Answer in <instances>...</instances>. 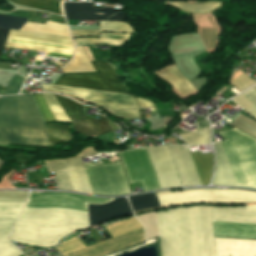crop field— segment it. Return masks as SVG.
<instances>
[{
    "label": "crop field",
    "mask_w": 256,
    "mask_h": 256,
    "mask_svg": "<svg viewBox=\"0 0 256 256\" xmlns=\"http://www.w3.org/2000/svg\"><path fill=\"white\" fill-rule=\"evenodd\" d=\"M112 199L114 198L31 192L25 208L72 209L87 212V204L103 205ZM88 227V216L85 212L25 209L10 234V241L51 247L71 231Z\"/></svg>",
    "instance_id": "1"
},
{
    "label": "crop field",
    "mask_w": 256,
    "mask_h": 256,
    "mask_svg": "<svg viewBox=\"0 0 256 256\" xmlns=\"http://www.w3.org/2000/svg\"><path fill=\"white\" fill-rule=\"evenodd\" d=\"M51 145L72 140L66 125H46ZM50 147L45 123L33 96H7L0 103V145Z\"/></svg>",
    "instance_id": "2"
},
{
    "label": "crop field",
    "mask_w": 256,
    "mask_h": 256,
    "mask_svg": "<svg viewBox=\"0 0 256 256\" xmlns=\"http://www.w3.org/2000/svg\"><path fill=\"white\" fill-rule=\"evenodd\" d=\"M91 64L96 72L62 74L54 84L125 93V89L116 82L115 75L108 65L102 61H92ZM48 87L61 86L43 85V90L57 91L81 97L87 101L98 103L109 111L123 108H138L136 100L126 94L78 88H71L77 90H61Z\"/></svg>",
    "instance_id": "3"
},
{
    "label": "crop field",
    "mask_w": 256,
    "mask_h": 256,
    "mask_svg": "<svg viewBox=\"0 0 256 256\" xmlns=\"http://www.w3.org/2000/svg\"><path fill=\"white\" fill-rule=\"evenodd\" d=\"M104 228L113 238L86 247L74 236L64 240L56 248L63 256H101L145 241L143 227L135 217L104 226Z\"/></svg>",
    "instance_id": "4"
},
{
    "label": "crop field",
    "mask_w": 256,
    "mask_h": 256,
    "mask_svg": "<svg viewBox=\"0 0 256 256\" xmlns=\"http://www.w3.org/2000/svg\"><path fill=\"white\" fill-rule=\"evenodd\" d=\"M203 256H215L210 207H198ZM197 207L177 209L182 256H202Z\"/></svg>",
    "instance_id": "5"
},
{
    "label": "crop field",
    "mask_w": 256,
    "mask_h": 256,
    "mask_svg": "<svg viewBox=\"0 0 256 256\" xmlns=\"http://www.w3.org/2000/svg\"><path fill=\"white\" fill-rule=\"evenodd\" d=\"M218 133L237 185L256 189V139L234 128Z\"/></svg>",
    "instance_id": "6"
},
{
    "label": "crop field",
    "mask_w": 256,
    "mask_h": 256,
    "mask_svg": "<svg viewBox=\"0 0 256 256\" xmlns=\"http://www.w3.org/2000/svg\"><path fill=\"white\" fill-rule=\"evenodd\" d=\"M212 207L213 221L256 224V213H246L245 206ZM213 222L217 237L256 239V225Z\"/></svg>",
    "instance_id": "7"
},
{
    "label": "crop field",
    "mask_w": 256,
    "mask_h": 256,
    "mask_svg": "<svg viewBox=\"0 0 256 256\" xmlns=\"http://www.w3.org/2000/svg\"><path fill=\"white\" fill-rule=\"evenodd\" d=\"M160 205L190 201H256V192L239 189H193L156 193ZM248 212H256V205H247Z\"/></svg>",
    "instance_id": "8"
},
{
    "label": "crop field",
    "mask_w": 256,
    "mask_h": 256,
    "mask_svg": "<svg viewBox=\"0 0 256 256\" xmlns=\"http://www.w3.org/2000/svg\"><path fill=\"white\" fill-rule=\"evenodd\" d=\"M27 192L2 191L0 203H25ZM25 204H0V256L23 255L8 240V233L20 215Z\"/></svg>",
    "instance_id": "9"
},
{
    "label": "crop field",
    "mask_w": 256,
    "mask_h": 256,
    "mask_svg": "<svg viewBox=\"0 0 256 256\" xmlns=\"http://www.w3.org/2000/svg\"><path fill=\"white\" fill-rule=\"evenodd\" d=\"M85 171L94 194H131L120 162L87 167Z\"/></svg>",
    "instance_id": "10"
},
{
    "label": "crop field",
    "mask_w": 256,
    "mask_h": 256,
    "mask_svg": "<svg viewBox=\"0 0 256 256\" xmlns=\"http://www.w3.org/2000/svg\"><path fill=\"white\" fill-rule=\"evenodd\" d=\"M118 154L130 183L141 181L145 192L160 189L145 148L118 152Z\"/></svg>",
    "instance_id": "11"
},
{
    "label": "crop field",
    "mask_w": 256,
    "mask_h": 256,
    "mask_svg": "<svg viewBox=\"0 0 256 256\" xmlns=\"http://www.w3.org/2000/svg\"><path fill=\"white\" fill-rule=\"evenodd\" d=\"M54 97L69 118L75 131L92 137L112 131L106 118L102 117L98 120L87 118L81 111V105L59 96Z\"/></svg>",
    "instance_id": "12"
},
{
    "label": "crop field",
    "mask_w": 256,
    "mask_h": 256,
    "mask_svg": "<svg viewBox=\"0 0 256 256\" xmlns=\"http://www.w3.org/2000/svg\"><path fill=\"white\" fill-rule=\"evenodd\" d=\"M94 153L97 152L94 151L93 146H89L84 148L76 157L45 160L44 164L48 172L67 169L74 190L93 194L80 158Z\"/></svg>",
    "instance_id": "13"
},
{
    "label": "crop field",
    "mask_w": 256,
    "mask_h": 256,
    "mask_svg": "<svg viewBox=\"0 0 256 256\" xmlns=\"http://www.w3.org/2000/svg\"><path fill=\"white\" fill-rule=\"evenodd\" d=\"M9 39L51 44V45H59V46H67V47H71V50L43 47V46H36V45H28V44H20V43H12V42H8ZM5 47L33 50V51H42V52L68 54V55H72V51H73V45L71 42V38L30 33V32H22V31H12V30L9 33Z\"/></svg>",
    "instance_id": "14"
},
{
    "label": "crop field",
    "mask_w": 256,
    "mask_h": 256,
    "mask_svg": "<svg viewBox=\"0 0 256 256\" xmlns=\"http://www.w3.org/2000/svg\"><path fill=\"white\" fill-rule=\"evenodd\" d=\"M162 256H181L176 208L156 212Z\"/></svg>",
    "instance_id": "15"
},
{
    "label": "crop field",
    "mask_w": 256,
    "mask_h": 256,
    "mask_svg": "<svg viewBox=\"0 0 256 256\" xmlns=\"http://www.w3.org/2000/svg\"><path fill=\"white\" fill-rule=\"evenodd\" d=\"M160 188L181 187L166 146L146 148Z\"/></svg>",
    "instance_id": "16"
},
{
    "label": "crop field",
    "mask_w": 256,
    "mask_h": 256,
    "mask_svg": "<svg viewBox=\"0 0 256 256\" xmlns=\"http://www.w3.org/2000/svg\"><path fill=\"white\" fill-rule=\"evenodd\" d=\"M181 186L201 185L189 149L182 146H167Z\"/></svg>",
    "instance_id": "17"
},
{
    "label": "crop field",
    "mask_w": 256,
    "mask_h": 256,
    "mask_svg": "<svg viewBox=\"0 0 256 256\" xmlns=\"http://www.w3.org/2000/svg\"><path fill=\"white\" fill-rule=\"evenodd\" d=\"M90 226L132 215L126 198L115 199L103 206L88 205Z\"/></svg>",
    "instance_id": "18"
},
{
    "label": "crop field",
    "mask_w": 256,
    "mask_h": 256,
    "mask_svg": "<svg viewBox=\"0 0 256 256\" xmlns=\"http://www.w3.org/2000/svg\"><path fill=\"white\" fill-rule=\"evenodd\" d=\"M120 9L108 7H91V3H64L67 19L102 20Z\"/></svg>",
    "instance_id": "19"
},
{
    "label": "crop field",
    "mask_w": 256,
    "mask_h": 256,
    "mask_svg": "<svg viewBox=\"0 0 256 256\" xmlns=\"http://www.w3.org/2000/svg\"><path fill=\"white\" fill-rule=\"evenodd\" d=\"M216 256H256V241L215 238Z\"/></svg>",
    "instance_id": "20"
},
{
    "label": "crop field",
    "mask_w": 256,
    "mask_h": 256,
    "mask_svg": "<svg viewBox=\"0 0 256 256\" xmlns=\"http://www.w3.org/2000/svg\"><path fill=\"white\" fill-rule=\"evenodd\" d=\"M214 147L216 152V168L212 184L220 186H237L221 143L215 144Z\"/></svg>",
    "instance_id": "21"
},
{
    "label": "crop field",
    "mask_w": 256,
    "mask_h": 256,
    "mask_svg": "<svg viewBox=\"0 0 256 256\" xmlns=\"http://www.w3.org/2000/svg\"><path fill=\"white\" fill-rule=\"evenodd\" d=\"M156 73L169 81L181 96L196 90L192 84L179 72L176 65Z\"/></svg>",
    "instance_id": "22"
},
{
    "label": "crop field",
    "mask_w": 256,
    "mask_h": 256,
    "mask_svg": "<svg viewBox=\"0 0 256 256\" xmlns=\"http://www.w3.org/2000/svg\"><path fill=\"white\" fill-rule=\"evenodd\" d=\"M203 185H208L213 168V154L201 155L200 152L191 154Z\"/></svg>",
    "instance_id": "23"
},
{
    "label": "crop field",
    "mask_w": 256,
    "mask_h": 256,
    "mask_svg": "<svg viewBox=\"0 0 256 256\" xmlns=\"http://www.w3.org/2000/svg\"><path fill=\"white\" fill-rule=\"evenodd\" d=\"M20 30L71 37L65 25L50 21L45 25L27 22Z\"/></svg>",
    "instance_id": "24"
},
{
    "label": "crop field",
    "mask_w": 256,
    "mask_h": 256,
    "mask_svg": "<svg viewBox=\"0 0 256 256\" xmlns=\"http://www.w3.org/2000/svg\"><path fill=\"white\" fill-rule=\"evenodd\" d=\"M14 4L63 15L61 2L54 0H10Z\"/></svg>",
    "instance_id": "25"
},
{
    "label": "crop field",
    "mask_w": 256,
    "mask_h": 256,
    "mask_svg": "<svg viewBox=\"0 0 256 256\" xmlns=\"http://www.w3.org/2000/svg\"><path fill=\"white\" fill-rule=\"evenodd\" d=\"M94 71L88 61L82 46L76 47V55L74 59L63 68V73L89 72Z\"/></svg>",
    "instance_id": "26"
},
{
    "label": "crop field",
    "mask_w": 256,
    "mask_h": 256,
    "mask_svg": "<svg viewBox=\"0 0 256 256\" xmlns=\"http://www.w3.org/2000/svg\"><path fill=\"white\" fill-rule=\"evenodd\" d=\"M129 34H115V33H100V39L92 38H76L74 39L76 45L84 43H108L119 45L128 38Z\"/></svg>",
    "instance_id": "27"
},
{
    "label": "crop field",
    "mask_w": 256,
    "mask_h": 256,
    "mask_svg": "<svg viewBox=\"0 0 256 256\" xmlns=\"http://www.w3.org/2000/svg\"><path fill=\"white\" fill-rule=\"evenodd\" d=\"M129 202L134 211L159 206L156 196L153 193L130 197Z\"/></svg>",
    "instance_id": "28"
},
{
    "label": "crop field",
    "mask_w": 256,
    "mask_h": 256,
    "mask_svg": "<svg viewBox=\"0 0 256 256\" xmlns=\"http://www.w3.org/2000/svg\"><path fill=\"white\" fill-rule=\"evenodd\" d=\"M181 138L189 145H200L210 143L209 140V128H203L196 130L195 132L180 134Z\"/></svg>",
    "instance_id": "29"
},
{
    "label": "crop field",
    "mask_w": 256,
    "mask_h": 256,
    "mask_svg": "<svg viewBox=\"0 0 256 256\" xmlns=\"http://www.w3.org/2000/svg\"><path fill=\"white\" fill-rule=\"evenodd\" d=\"M230 125L256 138V122L241 114Z\"/></svg>",
    "instance_id": "30"
},
{
    "label": "crop field",
    "mask_w": 256,
    "mask_h": 256,
    "mask_svg": "<svg viewBox=\"0 0 256 256\" xmlns=\"http://www.w3.org/2000/svg\"><path fill=\"white\" fill-rule=\"evenodd\" d=\"M137 218L145 227L147 240L158 236L155 212L138 215Z\"/></svg>",
    "instance_id": "31"
},
{
    "label": "crop field",
    "mask_w": 256,
    "mask_h": 256,
    "mask_svg": "<svg viewBox=\"0 0 256 256\" xmlns=\"http://www.w3.org/2000/svg\"><path fill=\"white\" fill-rule=\"evenodd\" d=\"M171 4L188 11L202 13V12H209L213 10L214 8L218 7L220 3L206 2L201 4H188V3H171Z\"/></svg>",
    "instance_id": "32"
},
{
    "label": "crop field",
    "mask_w": 256,
    "mask_h": 256,
    "mask_svg": "<svg viewBox=\"0 0 256 256\" xmlns=\"http://www.w3.org/2000/svg\"><path fill=\"white\" fill-rule=\"evenodd\" d=\"M198 28L206 47L207 48L215 47L219 27L207 26V27H198Z\"/></svg>",
    "instance_id": "33"
},
{
    "label": "crop field",
    "mask_w": 256,
    "mask_h": 256,
    "mask_svg": "<svg viewBox=\"0 0 256 256\" xmlns=\"http://www.w3.org/2000/svg\"><path fill=\"white\" fill-rule=\"evenodd\" d=\"M26 21L28 19L0 15V28L19 30Z\"/></svg>",
    "instance_id": "34"
},
{
    "label": "crop field",
    "mask_w": 256,
    "mask_h": 256,
    "mask_svg": "<svg viewBox=\"0 0 256 256\" xmlns=\"http://www.w3.org/2000/svg\"><path fill=\"white\" fill-rule=\"evenodd\" d=\"M100 31L134 32L132 28L124 22L109 21H101Z\"/></svg>",
    "instance_id": "35"
},
{
    "label": "crop field",
    "mask_w": 256,
    "mask_h": 256,
    "mask_svg": "<svg viewBox=\"0 0 256 256\" xmlns=\"http://www.w3.org/2000/svg\"><path fill=\"white\" fill-rule=\"evenodd\" d=\"M43 96L48 103L52 113L54 114L57 122H68L67 118L65 117L57 102L52 97L51 93L43 94Z\"/></svg>",
    "instance_id": "36"
},
{
    "label": "crop field",
    "mask_w": 256,
    "mask_h": 256,
    "mask_svg": "<svg viewBox=\"0 0 256 256\" xmlns=\"http://www.w3.org/2000/svg\"><path fill=\"white\" fill-rule=\"evenodd\" d=\"M34 97H35V100H36V102H37V104H38L46 122L48 123V122L55 121V119H54L49 107L47 106L42 94H36V95H34Z\"/></svg>",
    "instance_id": "37"
},
{
    "label": "crop field",
    "mask_w": 256,
    "mask_h": 256,
    "mask_svg": "<svg viewBox=\"0 0 256 256\" xmlns=\"http://www.w3.org/2000/svg\"><path fill=\"white\" fill-rule=\"evenodd\" d=\"M231 84L235 86L239 91H243L246 88L256 84V82L247 75H242L237 79L231 81Z\"/></svg>",
    "instance_id": "38"
},
{
    "label": "crop field",
    "mask_w": 256,
    "mask_h": 256,
    "mask_svg": "<svg viewBox=\"0 0 256 256\" xmlns=\"http://www.w3.org/2000/svg\"><path fill=\"white\" fill-rule=\"evenodd\" d=\"M232 100L256 118V107L243 94Z\"/></svg>",
    "instance_id": "39"
},
{
    "label": "crop field",
    "mask_w": 256,
    "mask_h": 256,
    "mask_svg": "<svg viewBox=\"0 0 256 256\" xmlns=\"http://www.w3.org/2000/svg\"><path fill=\"white\" fill-rule=\"evenodd\" d=\"M24 78L15 75L14 77H12V79L10 80L7 88L5 89L3 95H8V94H17L22 82H23Z\"/></svg>",
    "instance_id": "40"
},
{
    "label": "crop field",
    "mask_w": 256,
    "mask_h": 256,
    "mask_svg": "<svg viewBox=\"0 0 256 256\" xmlns=\"http://www.w3.org/2000/svg\"><path fill=\"white\" fill-rule=\"evenodd\" d=\"M55 176L59 189L73 190L66 170L55 173Z\"/></svg>",
    "instance_id": "41"
},
{
    "label": "crop field",
    "mask_w": 256,
    "mask_h": 256,
    "mask_svg": "<svg viewBox=\"0 0 256 256\" xmlns=\"http://www.w3.org/2000/svg\"><path fill=\"white\" fill-rule=\"evenodd\" d=\"M114 115L118 117H123V118H135V117H140V113L138 109H129V110H119V111H114L111 112Z\"/></svg>",
    "instance_id": "42"
},
{
    "label": "crop field",
    "mask_w": 256,
    "mask_h": 256,
    "mask_svg": "<svg viewBox=\"0 0 256 256\" xmlns=\"http://www.w3.org/2000/svg\"><path fill=\"white\" fill-rule=\"evenodd\" d=\"M73 36H80V35H98V31L92 30H81V31H72Z\"/></svg>",
    "instance_id": "43"
},
{
    "label": "crop field",
    "mask_w": 256,
    "mask_h": 256,
    "mask_svg": "<svg viewBox=\"0 0 256 256\" xmlns=\"http://www.w3.org/2000/svg\"><path fill=\"white\" fill-rule=\"evenodd\" d=\"M126 12H119L117 14H114L104 20H112V21H124Z\"/></svg>",
    "instance_id": "44"
},
{
    "label": "crop field",
    "mask_w": 256,
    "mask_h": 256,
    "mask_svg": "<svg viewBox=\"0 0 256 256\" xmlns=\"http://www.w3.org/2000/svg\"><path fill=\"white\" fill-rule=\"evenodd\" d=\"M243 94L256 106V93L252 88Z\"/></svg>",
    "instance_id": "45"
},
{
    "label": "crop field",
    "mask_w": 256,
    "mask_h": 256,
    "mask_svg": "<svg viewBox=\"0 0 256 256\" xmlns=\"http://www.w3.org/2000/svg\"><path fill=\"white\" fill-rule=\"evenodd\" d=\"M10 30H4V29H0V45H4L6 42V38L8 36ZM2 48V46H0V49ZM1 52V51H0Z\"/></svg>",
    "instance_id": "46"
},
{
    "label": "crop field",
    "mask_w": 256,
    "mask_h": 256,
    "mask_svg": "<svg viewBox=\"0 0 256 256\" xmlns=\"http://www.w3.org/2000/svg\"><path fill=\"white\" fill-rule=\"evenodd\" d=\"M137 102L139 104V107H147V106H153L154 105L151 101L145 100V99L137 98Z\"/></svg>",
    "instance_id": "47"
},
{
    "label": "crop field",
    "mask_w": 256,
    "mask_h": 256,
    "mask_svg": "<svg viewBox=\"0 0 256 256\" xmlns=\"http://www.w3.org/2000/svg\"><path fill=\"white\" fill-rule=\"evenodd\" d=\"M84 50H85V52H86V54H87L89 60L92 61L93 58H92V56H91V54H90V52H89V50H88V48H87L86 46H84Z\"/></svg>",
    "instance_id": "48"
},
{
    "label": "crop field",
    "mask_w": 256,
    "mask_h": 256,
    "mask_svg": "<svg viewBox=\"0 0 256 256\" xmlns=\"http://www.w3.org/2000/svg\"><path fill=\"white\" fill-rule=\"evenodd\" d=\"M8 64H0V69L7 70Z\"/></svg>",
    "instance_id": "49"
},
{
    "label": "crop field",
    "mask_w": 256,
    "mask_h": 256,
    "mask_svg": "<svg viewBox=\"0 0 256 256\" xmlns=\"http://www.w3.org/2000/svg\"><path fill=\"white\" fill-rule=\"evenodd\" d=\"M253 89H254V91L256 92V86H255V87H253Z\"/></svg>",
    "instance_id": "50"
}]
</instances>
